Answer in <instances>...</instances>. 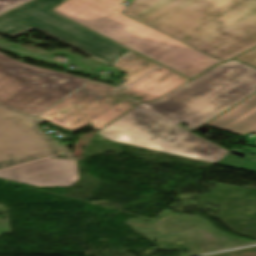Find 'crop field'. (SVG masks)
<instances>
[{
  "mask_svg": "<svg viewBox=\"0 0 256 256\" xmlns=\"http://www.w3.org/2000/svg\"><path fill=\"white\" fill-rule=\"evenodd\" d=\"M218 163L228 165V166H232V167H236V168H240V169H244V170H249V171L256 172V163H254L252 161H247L245 159H241L237 156L230 155V154L225 156Z\"/></svg>",
  "mask_w": 256,
  "mask_h": 256,
  "instance_id": "d1516ede",
  "label": "crop field"
},
{
  "mask_svg": "<svg viewBox=\"0 0 256 256\" xmlns=\"http://www.w3.org/2000/svg\"><path fill=\"white\" fill-rule=\"evenodd\" d=\"M256 92V69L235 60L217 65L157 101L141 104L98 134L112 141L217 163L228 150L193 130Z\"/></svg>",
  "mask_w": 256,
  "mask_h": 256,
  "instance_id": "8a807250",
  "label": "crop field"
},
{
  "mask_svg": "<svg viewBox=\"0 0 256 256\" xmlns=\"http://www.w3.org/2000/svg\"><path fill=\"white\" fill-rule=\"evenodd\" d=\"M112 66L128 73L123 79L128 80L123 87H127L160 65L130 51Z\"/></svg>",
  "mask_w": 256,
  "mask_h": 256,
  "instance_id": "28ad6ade",
  "label": "crop field"
},
{
  "mask_svg": "<svg viewBox=\"0 0 256 256\" xmlns=\"http://www.w3.org/2000/svg\"><path fill=\"white\" fill-rule=\"evenodd\" d=\"M122 13L223 61L256 47V0H134Z\"/></svg>",
  "mask_w": 256,
  "mask_h": 256,
  "instance_id": "ac0d7876",
  "label": "crop field"
},
{
  "mask_svg": "<svg viewBox=\"0 0 256 256\" xmlns=\"http://www.w3.org/2000/svg\"><path fill=\"white\" fill-rule=\"evenodd\" d=\"M88 81L0 54V103L34 116Z\"/></svg>",
  "mask_w": 256,
  "mask_h": 256,
  "instance_id": "f4fd0767",
  "label": "crop field"
},
{
  "mask_svg": "<svg viewBox=\"0 0 256 256\" xmlns=\"http://www.w3.org/2000/svg\"><path fill=\"white\" fill-rule=\"evenodd\" d=\"M236 59L256 67V49H254Z\"/></svg>",
  "mask_w": 256,
  "mask_h": 256,
  "instance_id": "22f410ed",
  "label": "crop field"
},
{
  "mask_svg": "<svg viewBox=\"0 0 256 256\" xmlns=\"http://www.w3.org/2000/svg\"><path fill=\"white\" fill-rule=\"evenodd\" d=\"M121 89L90 81L36 117L73 132L90 123L98 132L140 104Z\"/></svg>",
  "mask_w": 256,
  "mask_h": 256,
  "instance_id": "dd49c442",
  "label": "crop field"
},
{
  "mask_svg": "<svg viewBox=\"0 0 256 256\" xmlns=\"http://www.w3.org/2000/svg\"><path fill=\"white\" fill-rule=\"evenodd\" d=\"M206 125L234 134L256 133V94L228 110Z\"/></svg>",
  "mask_w": 256,
  "mask_h": 256,
  "instance_id": "3316defc",
  "label": "crop field"
},
{
  "mask_svg": "<svg viewBox=\"0 0 256 256\" xmlns=\"http://www.w3.org/2000/svg\"><path fill=\"white\" fill-rule=\"evenodd\" d=\"M124 1L66 0L52 10L189 78L223 62L122 14Z\"/></svg>",
  "mask_w": 256,
  "mask_h": 256,
  "instance_id": "34b2d1b8",
  "label": "crop field"
},
{
  "mask_svg": "<svg viewBox=\"0 0 256 256\" xmlns=\"http://www.w3.org/2000/svg\"><path fill=\"white\" fill-rule=\"evenodd\" d=\"M189 79L161 66L119 93L142 103L154 101Z\"/></svg>",
  "mask_w": 256,
  "mask_h": 256,
  "instance_id": "5a996713",
  "label": "crop field"
},
{
  "mask_svg": "<svg viewBox=\"0 0 256 256\" xmlns=\"http://www.w3.org/2000/svg\"><path fill=\"white\" fill-rule=\"evenodd\" d=\"M24 1L26 0H0V13Z\"/></svg>",
  "mask_w": 256,
  "mask_h": 256,
  "instance_id": "cbeb9de0",
  "label": "crop field"
},
{
  "mask_svg": "<svg viewBox=\"0 0 256 256\" xmlns=\"http://www.w3.org/2000/svg\"><path fill=\"white\" fill-rule=\"evenodd\" d=\"M63 1L34 0L1 15L0 34L15 37L34 28L110 65L130 51L51 12Z\"/></svg>",
  "mask_w": 256,
  "mask_h": 256,
  "instance_id": "412701ff",
  "label": "crop field"
},
{
  "mask_svg": "<svg viewBox=\"0 0 256 256\" xmlns=\"http://www.w3.org/2000/svg\"><path fill=\"white\" fill-rule=\"evenodd\" d=\"M0 177L35 186H70L79 179L75 161L54 158L2 170Z\"/></svg>",
  "mask_w": 256,
  "mask_h": 256,
  "instance_id": "d8731c3e",
  "label": "crop field"
},
{
  "mask_svg": "<svg viewBox=\"0 0 256 256\" xmlns=\"http://www.w3.org/2000/svg\"><path fill=\"white\" fill-rule=\"evenodd\" d=\"M131 1H133V0H131Z\"/></svg>",
  "mask_w": 256,
  "mask_h": 256,
  "instance_id": "733c2abd",
  "label": "crop field"
},
{
  "mask_svg": "<svg viewBox=\"0 0 256 256\" xmlns=\"http://www.w3.org/2000/svg\"><path fill=\"white\" fill-rule=\"evenodd\" d=\"M34 116L0 104V168L61 153Z\"/></svg>",
  "mask_w": 256,
  "mask_h": 256,
  "instance_id": "e52e79f7",
  "label": "crop field"
},
{
  "mask_svg": "<svg viewBox=\"0 0 256 256\" xmlns=\"http://www.w3.org/2000/svg\"><path fill=\"white\" fill-rule=\"evenodd\" d=\"M247 140H248V142H249L250 145L256 146V143H254V142H255L254 139H248V138H247Z\"/></svg>",
  "mask_w": 256,
  "mask_h": 256,
  "instance_id": "d9b57169",
  "label": "crop field"
},
{
  "mask_svg": "<svg viewBox=\"0 0 256 256\" xmlns=\"http://www.w3.org/2000/svg\"><path fill=\"white\" fill-rule=\"evenodd\" d=\"M240 152L246 153L245 158L250 159V160H252V158H250V155H251V154H253V155L256 156V150L251 149V148H246V149H244V150H242V151H240Z\"/></svg>",
  "mask_w": 256,
  "mask_h": 256,
  "instance_id": "5142ce71",
  "label": "crop field"
}]
</instances>
